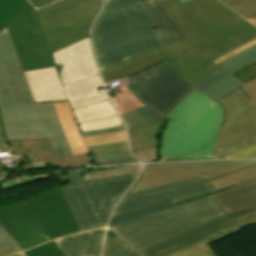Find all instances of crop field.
Listing matches in <instances>:
<instances>
[{"label": "crop field", "mask_w": 256, "mask_h": 256, "mask_svg": "<svg viewBox=\"0 0 256 256\" xmlns=\"http://www.w3.org/2000/svg\"><path fill=\"white\" fill-rule=\"evenodd\" d=\"M87 148L90 152L92 162H102L133 157L130 155V152L128 150L127 141L100 146H92Z\"/></svg>", "instance_id": "730fd06b"}, {"label": "crop field", "mask_w": 256, "mask_h": 256, "mask_svg": "<svg viewBox=\"0 0 256 256\" xmlns=\"http://www.w3.org/2000/svg\"><path fill=\"white\" fill-rule=\"evenodd\" d=\"M225 119L215 144L216 158L256 143V107L239 88L217 101ZM221 150V151H219Z\"/></svg>", "instance_id": "d1516ede"}, {"label": "crop field", "mask_w": 256, "mask_h": 256, "mask_svg": "<svg viewBox=\"0 0 256 256\" xmlns=\"http://www.w3.org/2000/svg\"><path fill=\"white\" fill-rule=\"evenodd\" d=\"M240 256V255H239Z\"/></svg>", "instance_id": "9d1cf04e"}, {"label": "crop field", "mask_w": 256, "mask_h": 256, "mask_svg": "<svg viewBox=\"0 0 256 256\" xmlns=\"http://www.w3.org/2000/svg\"><path fill=\"white\" fill-rule=\"evenodd\" d=\"M49 178H50L49 174H42V175H37L35 177L18 179L20 184H17L16 179H10V180H7L6 182L2 183V186H1L2 189H0V191L13 189V188L22 186L24 184H28V183H32V182H36V181H40V180H45V179H49Z\"/></svg>", "instance_id": "028f5c9d"}, {"label": "crop field", "mask_w": 256, "mask_h": 256, "mask_svg": "<svg viewBox=\"0 0 256 256\" xmlns=\"http://www.w3.org/2000/svg\"><path fill=\"white\" fill-rule=\"evenodd\" d=\"M105 228L54 240L65 256H99Z\"/></svg>", "instance_id": "92a150f3"}, {"label": "crop field", "mask_w": 256, "mask_h": 256, "mask_svg": "<svg viewBox=\"0 0 256 256\" xmlns=\"http://www.w3.org/2000/svg\"><path fill=\"white\" fill-rule=\"evenodd\" d=\"M0 113L7 141L48 139L55 157L72 155L52 103H33L6 26L0 28Z\"/></svg>", "instance_id": "34b2d1b8"}, {"label": "crop field", "mask_w": 256, "mask_h": 256, "mask_svg": "<svg viewBox=\"0 0 256 256\" xmlns=\"http://www.w3.org/2000/svg\"><path fill=\"white\" fill-rule=\"evenodd\" d=\"M73 113L82 132L123 125L110 100L74 109Z\"/></svg>", "instance_id": "214f88e0"}, {"label": "crop field", "mask_w": 256, "mask_h": 256, "mask_svg": "<svg viewBox=\"0 0 256 256\" xmlns=\"http://www.w3.org/2000/svg\"><path fill=\"white\" fill-rule=\"evenodd\" d=\"M52 103L72 154L88 153L68 101Z\"/></svg>", "instance_id": "00972430"}, {"label": "crop field", "mask_w": 256, "mask_h": 256, "mask_svg": "<svg viewBox=\"0 0 256 256\" xmlns=\"http://www.w3.org/2000/svg\"><path fill=\"white\" fill-rule=\"evenodd\" d=\"M22 251L20 247L14 243L9 246L3 247L0 249V256H10Z\"/></svg>", "instance_id": "c21b1889"}, {"label": "crop field", "mask_w": 256, "mask_h": 256, "mask_svg": "<svg viewBox=\"0 0 256 256\" xmlns=\"http://www.w3.org/2000/svg\"><path fill=\"white\" fill-rule=\"evenodd\" d=\"M218 159H256V144Z\"/></svg>", "instance_id": "e1f06a70"}, {"label": "crop field", "mask_w": 256, "mask_h": 256, "mask_svg": "<svg viewBox=\"0 0 256 256\" xmlns=\"http://www.w3.org/2000/svg\"><path fill=\"white\" fill-rule=\"evenodd\" d=\"M246 19L249 20L254 25H256V19H253V18H246Z\"/></svg>", "instance_id": "1f2cbd36"}, {"label": "crop field", "mask_w": 256, "mask_h": 256, "mask_svg": "<svg viewBox=\"0 0 256 256\" xmlns=\"http://www.w3.org/2000/svg\"><path fill=\"white\" fill-rule=\"evenodd\" d=\"M170 5H172L173 3L170 0H166Z\"/></svg>", "instance_id": "0fb4a251"}, {"label": "crop field", "mask_w": 256, "mask_h": 256, "mask_svg": "<svg viewBox=\"0 0 256 256\" xmlns=\"http://www.w3.org/2000/svg\"><path fill=\"white\" fill-rule=\"evenodd\" d=\"M14 256H25L23 252L19 253V254H16Z\"/></svg>", "instance_id": "dbb93151"}, {"label": "crop field", "mask_w": 256, "mask_h": 256, "mask_svg": "<svg viewBox=\"0 0 256 256\" xmlns=\"http://www.w3.org/2000/svg\"><path fill=\"white\" fill-rule=\"evenodd\" d=\"M156 148L154 147L152 149L149 150H145V151H141L138 153H134V155L138 158L141 159V162H151V161H155L156 157H155V152H156Z\"/></svg>", "instance_id": "b80d0937"}, {"label": "crop field", "mask_w": 256, "mask_h": 256, "mask_svg": "<svg viewBox=\"0 0 256 256\" xmlns=\"http://www.w3.org/2000/svg\"><path fill=\"white\" fill-rule=\"evenodd\" d=\"M0 169H3V168H0ZM9 173H6L5 170H0V177L4 176V175H7Z\"/></svg>", "instance_id": "89e229c0"}, {"label": "crop field", "mask_w": 256, "mask_h": 256, "mask_svg": "<svg viewBox=\"0 0 256 256\" xmlns=\"http://www.w3.org/2000/svg\"><path fill=\"white\" fill-rule=\"evenodd\" d=\"M24 253L26 256H64L52 241L24 251Z\"/></svg>", "instance_id": "d32e631a"}, {"label": "crop field", "mask_w": 256, "mask_h": 256, "mask_svg": "<svg viewBox=\"0 0 256 256\" xmlns=\"http://www.w3.org/2000/svg\"><path fill=\"white\" fill-rule=\"evenodd\" d=\"M100 76H94L68 85L64 90L71 109L109 100L107 92L99 94L96 88L103 87Z\"/></svg>", "instance_id": "dafd665d"}, {"label": "crop field", "mask_w": 256, "mask_h": 256, "mask_svg": "<svg viewBox=\"0 0 256 256\" xmlns=\"http://www.w3.org/2000/svg\"><path fill=\"white\" fill-rule=\"evenodd\" d=\"M106 1V0H105Z\"/></svg>", "instance_id": "447ae74e"}, {"label": "crop field", "mask_w": 256, "mask_h": 256, "mask_svg": "<svg viewBox=\"0 0 256 256\" xmlns=\"http://www.w3.org/2000/svg\"><path fill=\"white\" fill-rule=\"evenodd\" d=\"M122 130H125L124 129V125L123 126H119V127H115V128H110V129L98 130V131H94V132H85V133H82V136L83 137L95 136V135L111 133V132H117V131H122Z\"/></svg>", "instance_id": "03da06ac"}, {"label": "crop field", "mask_w": 256, "mask_h": 256, "mask_svg": "<svg viewBox=\"0 0 256 256\" xmlns=\"http://www.w3.org/2000/svg\"><path fill=\"white\" fill-rule=\"evenodd\" d=\"M199 92L193 88L164 116L170 122L163 135L162 161L214 159L224 108Z\"/></svg>", "instance_id": "412701ff"}, {"label": "crop field", "mask_w": 256, "mask_h": 256, "mask_svg": "<svg viewBox=\"0 0 256 256\" xmlns=\"http://www.w3.org/2000/svg\"><path fill=\"white\" fill-rule=\"evenodd\" d=\"M144 1L104 2L91 33L100 69L160 45L142 4Z\"/></svg>", "instance_id": "f4fd0767"}, {"label": "crop field", "mask_w": 256, "mask_h": 256, "mask_svg": "<svg viewBox=\"0 0 256 256\" xmlns=\"http://www.w3.org/2000/svg\"><path fill=\"white\" fill-rule=\"evenodd\" d=\"M254 218L256 212L231 219L209 195L110 229L144 256H166L204 236Z\"/></svg>", "instance_id": "ac0d7876"}, {"label": "crop field", "mask_w": 256, "mask_h": 256, "mask_svg": "<svg viewBox=\"0 0 256 256\" xmlns=\"http://www.w3.org/2000/svg\"><path fill=\"white\" fill-rule=\"evenodd\" d=\"M171 206L172 205L169 203V201H167V202H163V203L153 205V206H150V207H147V208H143V209H140V210H137V211H133V212H130V213H127V214H123V215H120V216H117V217H113L111 219L108 227H110L112 225H115V224H118V223H122L124 221L129 220V219H132V218H135V217H138V216H141V215H145V214L151 213L153 211H157V210H160V209L171 207Z\"/></svg>", "instance_id": "1d83c4d3"}, {"label": "crop field", "mask_w": 256, "mask_h": 256, "mask_svg": "<svg viewBox=\"0 0 256 256\" xmlns=\"http://www.w3.org/2000/svg\"><path fill=\"white\" fill-rule=\"evenodd\" d=\"M52 55L63 85L99 74L89 37Z\"/></svg>", "instance_id": "cbeb9de0"}, {"label": "crop field", "mask_w": 256, "mask_h": 256, "mask_svg": "<svg viewBox=\"0 0 256 256\" xmlns=\"http://www.w3.org/2000/svg\"><path fill=\"white\" fill-rule=\"evenodd\" d=\"M241 89L248 96V98L251 101H253V104L256 106V80H254L246 86L241 87Z\"/></svg>", "instance_id": "c035e120"}, {"label": "crop field", "mask_w": 256, "mask_h": 256, "mask_svg": "<svg viewBox=\"0 0 256 256\" xmlns=\"http://www.w3.org/2000/svg\"><path fill=\"white\" fill-rule=\"evenodd\" d=\"M199 177L216 192L256 177V161H210L146 165L127 193L148 190ZM126 193V194H127Z\"/></svg>", "instance_id": "d8731c3e"}, {"label": "crop field", "mask_w": 256, "mask_h": 256, "mask_svg": "<svg viewBox=\"0 0 256 256\" xmlns=\"http://www.w3.org/2000/svg\"><path fill=\"white\" fill-rule=\"evenodd\" d=\"M120 91L123 96L111 98L119 114L144 106L131 94L126 86L120 88Z\"/></svg>", "instance_id": "ae1a2a85"}, {"label": "crop field", "mask_w": 256, "mask_h": 256, "mask_svg": "<svg viewBox=\"0 0 256 256\" xmlns=\"http://www.w3.org/2000/svg\"><path fill=\"white\" fill-rule=\"evenodd\" d=\"M212 193H215V191L208 181L195 178L148 191L124 195L121 201L117 204L113 216L167 200L175 205Z\"/></svg>", "instance_id": "22f410ed"}, {"label": "crop field", "mask_w": 256, "mask_h": 256, "mask_svg": "<svg viewBox=\"0 0 256 256\" xmlns=\"http://www.w3.org/2000/svg\"><path fill=\"white\" fill-rule=\"evenodd\" d=\"M102 0H60L38 10L51 52L89 36Z\"/></svg>", "instance_id": "28ad6ade"}, {"label": "crop field", "mask_w": 256, "mask_h": 256, "mask_svg": "<svg viewBox=\"0 0 256 256\" xmlns=\"http://www.w3.org/2000/svg\"><path fill=\"white\" fill-rule=\"evenodd\" d=\"M255 43H256V39L251 41V42H249V43H247V44H245V45H243V46H241V47H239L238 49H236V50H234V51H232V52H230V53H228V54H226V55H224V56H222V57L212 61V62L217 64V63H219V62H221V61H223V60L233 56L234 54H236V53L246 49L247 47H249V46H251V45H253Z\"/></svg>", "instance_id": "b54c1fbb"}, {"label": "crop field", "mask_w": 256, "mask_h": 256, "mask_svg": "<svg viewBox=\"0 0 256 256\" xmlns=\"http://www.w3.org/2000/svg\"><path fill=\"white\" fill-rule=\"evenodd\" d=\"M182 3L186 2V1H189V0H180Z\"/></svg>", "instance_id": "1d79db26"}, {"label": "crop field", "mask_w": 256, "mask_h": 256, "mask_svg": "<svg viewBox=\"0 0 256 256\" xmlns=\"http://www.w3.org/2000/svg\"><path fill=\"white\" fill-rule=\"evenodd\" d=\"M40 168H43V169H45V168H52V169L59 170V169L56 168V167L48 166V165L39 163V162H37V161H34V162H32L31 164H28V165L24 166L22 169H23V170H24V169H30V170H32V169H40Z\"/></svg>", "instance_id": "d23c7cc5"}, {"label": "crop field", "mask_w": 256, "mask_h": 256, "mask_svg": "<svg viewBox=\"0 0 256 256\" xmlns=\"http://www.w3.org/2000/svg\"><path fill=\"white\" fill-rule=\"evenodd\" d=\"M102 256H141L119 237L105 241Z\"/></svg>", "instance_id": "eef30255"}, {"label": "crop field", "mask_w": 256, "mask_h": 256, "mask_svg": "<svg viewBox=\"0 0 256 256\" xmlns=\"http://www.w3.org/2000/svg\"><path fill=\"white\" fill-rule=\"evenodd\" d=\"M256 224V219L244 222L227 229L219 231L213 235L207 236L199 241H196L168 256H216L218 253L210 245V243L217 241L221 238L229 236L233 233L241 231L242 227L251 226Z\"/></svg>", "instance_id": "a9b5d70f"}, {"label": "crop field", "mask_w": 256, "mask_h": 256, "mask_svg": "<svg viewBox=\"0 0 256 256\" xmlns=\"http://www.w3.org/2000/svg\"><path fill=\"white\" fill-rule=\"evenodd\" d=\"M12 147L13 156L29 155L41 162L60 167H79L91 165L89 154L54 158L47 140L8 142Z\"/></svg>", "instance_id": "d9b57169"}, {"label": "crop field", "mask_w": 256, "mask_h": 256, "mask_svg": "<svg viewBox=\"0 0 256 256\" xmlns=\"http://www.w3.org/2000/svg\"><path fill=\"white\" fill-rule=\"evenodd\" d=\"M86 170V169H84ZM84 170H80V171H74V172H67L68 175L66 176H60V180L62 182H64L65 180L69 181L68 184L71 183H77V182H83L85 181L84 177L82 176L81 171Z\"/></svg>", "instance_id": "0bd39190"}, {"label": "crop field", "mask_w": 256, "mask_h": 256, "mask_svg": "<svg viewBox=\"0 0 256 256\" xmlns=\"http://www.w3.org/2000/svg\"><path fill=\"white\" fill-rule=\"evenodd\" d=\"M129 78L132 82L126 86L146 106L120 115L127 130L164 119L163 116L192 89L168 60Z\"/></svg>", "instance_id": "e52e79f7"}, {"label": "crop field", "mask_w": 256, "mask_h": 256, "mask_svg": "<svg viewBox=\"0 0 256 256\" xmlns=\"http://www.w3.org/2000/svg\"><path fill=\"white\" fill-rule=\"evenodd\" d=\"M143 4L161 46L187 39L183 31L163 8L169 6L165 0H148Z\"/></svg>", "instance_id": "bc2a9ffb"}, {"label": "crop field", "mask_w": 256, "mask_h": 256, "mask_svg": "<svg viewBox=\"0 0 256 256\" xmlns=\"http://www.w3.org/2000/svg\"><path fill=\"white\" fill-rule=\"evenodd\" d=\"M24 73L34 102L67 100L55 67Z\"/></svg>", "instance_id": "4a817a6b"}, {"label": "crop field", "mask_w": 256, "mask_h": 256, "mask_svg": "<svg viewBox=\"0 0 256 256\" xmlns=\"http://www.w3.org/2000/svg\"><path fill=\"white\" fill-rule=\"evenodd\" d=\"M244 85L256 79V60L230 74Z\"/></svg>", "instance_id": "5866460e"}, {"label": "crop field", "mask_w": 256, "mask_h": 256, "mask_svg": "<svg viewBox=\"0 0 256 256\" xmlns=\"http://www.w3.org/2000/svg\"><path fill=\"white\" fill-rule=\"evenodd\" d=\"M0 224L22 250L79 231L59 186L1 207Z\"/></svg>", "instance_id": "dd49c442"}, {"label": "crop field", "mask_w": 256, "mask_h": 256, "mask_svg": "<svg viewBox=\"0 0 256 256\" xmlns=\"http://www.w3.org/2000/svg\"><path fill=\"white\" fill-rule=\"evenodd\" d=\"M256 59V44L218 64L220 67L193 85L201 93L217 101L243 86L229 74Z\"/></svg>", "instance_id": "5142ce71"}, {"label": "crop field", "mask_w": 256, "mask_h": 256, "mask_svg": "<svg viewBox=\"0 0 256 256\" xmlns=\"http://www.w3.org/2000/svg\"><path fill=\"white\" fill-rule=\"evenodd\" d=\"M14 243L13 239L0 226V248Z\"/></svg>", "instance_id": "5d738f31"}, {"label": "crop field", "mask_w": 256, "mask_h": 256, "mask_svg": "<svg viewBox=\"0 0 256 256\" xmlns=\"http://www.w3.org/2000/svg\"><path fill=\"white\" fill-rule=\"evenodd\" d=\"M142 166L143 164H139L132 167L123 168V169H110V170L101 171L97 173H89L87 175H84V177L86 181H89V180H95V179L112 177V176L137 174V173H140Z\"/></svg>", "instance_id": "bd1437ed"}, {"label": "crop field", "mask_w": 256, "mask_h": 256, "mask_svg": "<svg viewBox=\"0 0 256 256\" xmlns=\"http://www.w3.org/2000/svg\"><path fill=\"white\" fill-rule=\"evenodd\" d=\"M167 119L128 130L129 144L132 153L152 148L157 145V136Z\"/></svg>", "instance_id": "4177f3b9"}, {"label": "crop field", "mask_w": 256, "mask_h": 256, "mask_svg": "<svg viewBox=\"0 0 256 256\" xmlns=\"http://www.w3.org/2000/svg\"><path fill=\"white\" fill-rule=\"evenodd\" d=\"M137 176L106 178L61 188L79 230L106 226L116 202Z\"/></svg>", "instance_id": "5a996713"}, {"label": "crop field", "mask_w": 256, "mask_h": 256, "mask_svg": "<svg viewBox=\"0 0 256 256\" xmlns=\"http://www.w3.org/2000/svg\"><path fill=\"white\" fill-rule=\"evenodd\" d=\"M243 17L256 18V0H219Z\"/></svg>", "instance_id": "750c4746"}, {"label": "crop field", "mask_w": 256, "mask_h": 256, "mask_svg": "<svg viewBox=\"0 0 256 256\" xmlns=\"http://www.w3.org/2000/svg\"><path fill=\"white\" fill-rule=\"evenodd\" d=\"M165 7L189 39L160 47L178 75L191 86L219 67L211 61L256 38L242 17L224 24L195 1Z\"/></svg>", "instance_id": "8a807250"}, {"label": "crop field", "mask_w": 256, "mask_h": 256, "mask_svg": "<svg viewBox=\"0 0 256 256\" xmlns=\"http://www.w3.org/2000/svg\"><path fill=\"white\" fill-rule=\"evenodd\" d=\"M231 218L256 211V180L212 194Z\"/></svg>", "instance_id": "733c2abd"}, {"label": "crop field", "mask_w": 256, "mask_h": 256, "mask_svg": "<svg viewBox=\"0 0 256 256\" xmlns=\"http://www.w3.org/2000/svg\"><path fill=\"white\" fill-rule=\"evenodd\" d=\"M195 1L225 23L238 16L237 14L233 13L231 10H229L227 7H225L223 4H221L216 0H195Z\"/></svg>", "instance_id": "d3111659"}, {"label": "crop field", "mask_w": 256, "mask_h": 256, "mask_svg": "<svg viewBox=\"0 0 256 256\" xmlns=\"http://www.w3.org/2000/svg\"><path fill=\"white\" fill-rule=\"evenodd\" d=\"M0 130H2L1 129V121H0ZM0 149L10 150V147L4 142L1 132H0Z\"/></svg>", "instance_id": "73cf0c24"}, {"label": "crop field", "mask_w": 256, "mask_h": 256, "mask_svg": "<svg viewBox=\"0 0 256 256\" xmlns=\"http://www.w3.org/2000/svg\"><path fill=\"white\" fill-rule=\"evenodd\" d=\"M131 162H138L135 158H128L122 160H115L109 162H102V163H92V165H110V164H122V163H131Z\"/></svg>", "instance_id": "425ffa30"}, {"label": "crop field", "mask_w": 256, "mask_h": 256, "mask_svg": "<svg viewBox=\"0 0 256 256\" xmlns=\"http://www.w3.org/2000/svg\"><path fill=\"white\" fill-rule=\"evenodd\" d=\"M33 5L34 7L36 8H41L51 2H54L56 0H29Z\"/></svg>", "instance_id": "25e5ab78"}, {"label": "crop field", "mask_w": 256, "mask_h": 256, "mask_svg": "<svg viewBox=\"0 0 256 256\" xmlns=\"http://www.w3.org/2000/svg\"><path fill=\"white\" fill-rule=\"evenodd\" d=\"M4 24L24 71L55 66L37 12L27 0H0V27Z\"/></svg>", "instance_id": "3316defc"}, {"label": "crop field", "mask_w": 256, "mask_h": 256, "mask_svg": "<svg viewBox=\"0 0 256 256\" xmlns=\"http://www.w3.org/2000/svg\"><path fill=\"white\" fill-rule=\"evenodd\" d=\"M83 139L87 146L100 145V144H105V143L127 140L125 131L118 132V133H112V134H105V135H100V136H95V137H88V138H83Z\"/></svg>", "instance_id": "120bbe31"}]
</instances>
